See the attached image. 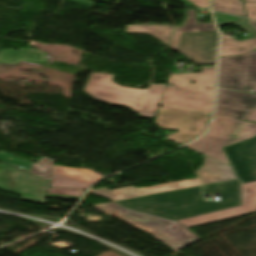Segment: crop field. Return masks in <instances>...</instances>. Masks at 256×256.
I'll return each mask as SVG.
<instances>
[{
    "mask_svg": "<svg viewBox=\"0 0 256 256\" xmlns=\"http://www.w3.org/2000/svg\"><path fill=\"white\" fill-rule=\"evenodd\" d=\"M220 191V202H203L200 186L116 201V203L164 218L177 220L239 205L238 181L231 180L203 186V193Z\"/></svg>",
    "mask_w": 256,
    "mask_h": 256,
    "instance_id": "8a807250",
    "label": "crop field"
},
{
    "mask_svg": "<svg viewBox=\"0 0 256 256\" xmlns=\"http://www.w3.org/2000/svg\"><path fill=\"white\" fill-rule=\"evenodd\" d=\"M114 76L91 73L83 91L96 100L127 106L142 117L154 118L165 85L151 84L144 90L134 89L114 83L112 81Z\"/></svg>",
    "mask_w": 256,
    "mask_h": 256,
    "instance_id": "ac0d7876",
    "label": "crop field"
},
{
    "mask_svg": "<svg viewBox=\"0 0 256 256\" xmlns=\"http://www.w3.org/2000/svg\"><path fill=\"white\" fill-rule=\"evenodd\" d=\"M202 73L172 74L162 96V106L210 115L213 105L215 66L201 67ZM189 81L195 82L194 84Z\"/></svg>",
    "mask_w": 256,
    "mask_h": 256,
    "instance_id": "34b2d1b8",
    "label": "crop field"
},
{
    "mask_svg": "<svg viewBox=\"0 0 256 256\" xmlns=\"http://www.w3.org/2000/svg\"><path fill=\"white\" fill-rule=\"evenodd\" d=\"M93 207L153 235L175 251L200 240L177 222L123 209L113 202Z\"/></svg>",
    "mask_w": 256,
    "mask_h": 256,
    "instance_id": "412701ff",
    "label": "crop field"
},
{
    "mask_svg": "<svg viewBox=\"0 0 256 256\" xmlns=\"http://www.w3.org/2000/svg\"><path fill=\"white\" fill-rule=\"evenodd\" d=\"M241 123L214 117L208 132L200 140L185 147L230 165L222 147L256 135V124L245 122L239 138H236Z\"/></svg>",
    "mask_w": 256,
    "mask_h": 256,
    "instance_id": "f4fd0767",
    "label": "crop field"
},
{
    "mask_svg": "<svg viewBox=\"0 0 256 256\" xmlns=\"http://www.w3.org/2000/svg\"><path fill=\"white\" fill-rule=\"evenodd\" d=\"M209 118L210 116L200 113L160 106L154 123L162 129L178 130L175 134L162 132L171 142L182 145L201 135Z\"/></svg>",
    "mask_w": 256,
    "mask_h": 256,
    "instance_id": "dd49c442",
    "label": "crop field"
},
{
    "mask_svg": "<svg viewBox=\"0 0 256 256\" xmlns=\"http://www.w3.org/2000/svg\"><path fill=\"white\" fill-rule=\"evenodd\" d=\"M218 86L256 93V51L243 56L221 57Z\"/></svg>",
    "mask_w": 256,
    "mask_h": 256,
    "instance_id": "e52e79f7",
    "label": "crop field"
},
{
    "mask_svg": "<svg viewBox=\"0 0 256 256\" xmlns=\"http://www.w3.org/2000/svg\"><path fill=\"white\" fill-rule=\"evenodd\" d=\"M49 181L0 162V190L21 195V200L45 203Z\"/></svg>",
    "mask_w": 256,
    "mask_h": 256,
    "instance_id": "d8731c3e",
    "label": "crop field"
},
{
    "mask_svg": "<svg viewBox=\"0 0 256 256\" xmlns=\"http://www.w3.org/2000/svg\"><path fill=\"white\" fill-rule=\"evenodd\" d=\"M223 149L241 184L256 180V136Z\"/></svg>",
    "mask_w": 256,
    "mask_h": 256,
    "instance_id": "5a996713",
    "label": "crop field"
},
{
    "mask_svg": "<svg viewBox=\"0 0 256 256\" xmlns=\"http://www.w3.org/2000/svg\"><path fill=\"white\" fill-rule=\"evenodd\" d=\"M217 32L184 34L178 52L197 65L215 64Z\"/></svg>",
    "mask_w": 256,
    "mask_h": 256,
    "instance_id": "3316defc",
    "label": "crop field"
},
{
    "mask_svg": "<svg viewBox=\"0 0 256 256\" xmlns=\"http://www.w3.org/2000/svg\"><path fill=\"white\" fill-rule=\"evenodd\" d=\"M241 200L242 206L206 214L202 216L192 217L179 220L187 228L219 221L256 211V181L241 185Z\"/></svg>",
    "mask_w": 256,
    "mask_h": 256,
    "instance_id": "28ad6ade",
    "label": "crop field"
},
{
    "mask_svg": "<svg viewBox=\"0 0 256 256\" xmlns=\"http://www.w3.org/2000/svg\"><path fill=\"white\" fill-rule=\"evenodd\" d=\"M255 107V94L218 88L215 116L242 121L245 114Z\"/></svg>",
    "mask_w": 256,
    "mask_h": 256,
    "instance_id": "d1516ede",
    "label": "crop field"
},
{
    "mask_svg": "<svg viewBox=\"0 0 256 256\" xmlns=\"http://www.w3.org/2000/svg\"><path fill=\"white\" fill-rule=\"evenodd\" d=\"M214 13L218 26L233 23L249 33L248 40L243 42H239L222 33L220 56L247 54L256 48V31L248 26L245 19L216 12Z\"/></svg>",
    "mask_w": 256,
    "mask_h": 256,
    "instance_id": "22f410ed",
    "label": "crop field"
},
{
    "mask_svg": "<svg viewBox=\"0 0 256 256\" xmlns=\"http://www.w3.org/2000/svg\"><path fill=\"white\" fill-rule=\"evenodd\" d=\"M198 185H199V182L197 178H194V179H188L183 181H177V182H171V183H165V184L140 188V189H137L133 186H129V187H123V188H117V189H111V190H107L105 188L94 189V190H90V192L104 195L112 199L113 201H116V200L151 195L156 193L168 192V191H173V190H178V189H183V188H188V187H193Z\"/></svg>",
    "mask_w": 256,
    "mask_h": 256,
    "instance_id": "cbeb9de0",
    "label": "crop field"
},
{
    "mask_svg": "<svg viewBox=\"0 0 256 256\" xmlns=\"http://www.w3.org/2000/svg\"><path fill=\"white\" fill-rule=\"evenodd\" d=\"M100 178L102 177L87 169L56 165L54 167L52 183L50 186L85 190Z\"/></svg>",
    "mask_w": 256,
    "mask_h": 256,
    "instance_id": "5142ce71",
    "label": "crop field"
},
{
    "mask_svg": "<svg viewBox=\"0 0 256 256\" xmlns=\"http://www.w3.org/2000/svg\"><path fill=\"white\" fill-rule=\"evenodd\" d=\"M203 185L236 179L232 168L221 162L205 157L204 165L198 169Z\"/></svg>",
    "mask_w": 256,
    "mask_h": 256,
    "instance_id": "d9b57169",
    "label": "crop field"
},
{
    "mask_svg": "<svg viewBox=\"0 0 256 256\" xmlns=\"http://www.w3.org/2000/svg\"><path fill=\"white\" fill-rule=\"evenodd\" d=\"M0 160L48 180L54 164V161L45 158H41L38 163L32 164L3 151H0ZM29 168L31 169L30 171L28 170Z\"/></svg>",
    "mask_w": 256,
    "mask_h": 256,
    "instance_id": "733c2abd",
    "label": "crop field"
},
{
    "mask_svg": "<svg viewBox=\"0 0 256 256\" xmlns=\"http://www.w3.org/2000/svg\"><path fill=\"white\" fill-rule=\"evenodd\" d=\"M0 61L16 64L21 61L36 62L46 64V53L38 49L19 48L18 51L2 50L0 51Z\"/></svg>",
    "mask_w": 256,
    "mask_h": 256,
    "instance_id": "4a817a6b",
    "label": "crop field"
},
{
    "mask_svg": "<svg viewBox=\"0 0 256 256\" xmlns=\"http://www.w3.org/2000/svg\"><path fill=\"white\" fill-rule=\"evenodd\" d=\"M216 31L212 24H197L194 10H187V18L182 27H176L172 35L170 47L177 50L183 33Z\"/></svg>",
    "mask_w": 256,
    "mask_h": 256,
    "instance_id": "bc2a9ffb",
    "label": "crop field"
},
{
    "mask_svg": "<svg viewBox=\"0 0 256 256\" xmlns=\"http://www.w3.org/2000/svg\"><path fill=\"white\" fill-rule=\"evenodd\" d=\"M172 28L160 25H126V32L149 34L168 45Z\"/></svg>",
    "mask_w": 256,
    "mask_h": 256,
    "instance_id": "214f88e0",
    "label": "crop field"
},
{
    "mask_svg": "<svg viewBox=\"0 0 256 256\" xmlns=\"http://www.w3.org/2000/svg\"><path fill=\"white\" fill-rule=\"evenodd\" d=\"M213 8L216 11L225 12L241 17L245 16V11L242 2L227 1V0H213Z\"/></svg>",
    "mask_w": 256,
    "mask_h": 256,
    "instance_id": "92a150f3",
    "label": "crop field"
},
{
    "mask_svg": "<svg viewBox=\"0 0 256 256\" xmlns=\"http://www.w3.org/2000/svg\"><path fill=\"white\" fill-rule=\"evenodd\" d=\"M84 192L85 191L50 187L47 197L78 200Z\"/></svg>",
    "mask_w": 256,
    "mask_h": 256,
    "instance_id": "dafd665d",
    "label": "crop field"
},
{
    "mask_svg": "<svg viewBox=\"0 0 256 256\" xmlns=\"http://www.w3.org/2000/svg\"><path fill=\"white\" fill-rule=\"evenodd\" d=\"M244 3H245L248 18L256 19V3H248V2H244Z\"/></svg>",
    "mask_w": 256,
    "mask_h": 256,
    "instance_id": "00972430",
    "label": "crop field"
},
{
    "mask_svg": "<svg viewBox=\"0 0 256 256\" xmlns=\"http://www.w3.org/2000/svg\"><path fill=\"white\" fill-rule=\"evenodd\" d=\"M191 3H193L195 6L202 7L208 9V0H187Z\"/></svg>",
    "mask_w": 256,
    "mask_h": 256,
    "instance_id": "a9b5d70f",
    "label": "crop field"
},
{
    "mask_svg": "<svg viewBox=\"0 0 256 256\" xmlns=\"http://www.w3.org/2000/svg\"><path fill=\"white\" fill-rule=\"evenodd\" d=\"M73 4L92 8L93 2L86 0H70Z\"/></svg>",
    "mask_w": 256,
    "mask_h": 256,
    "instance_id": "4177f3b9",
    "label": "crop field"
},
{
    "mask_svg": "<svg viewBox=\"0 0 256 256\" xmlns=\"http://www.w3.org/2000/svg\"><path fill=\"white\" fill-rule=\"evenodd\" d=\"M245 121L256 123V109L249 113Z\"/></svg>",
    "mask_w": 256,
    "mask_h": 256,
    "instance_id": "730fd06b",
    "label": "crop field"
},
{
    "mask_svg": "<svg viewBox=\"0 0 256 256\" xmlns=\"http://www.w3.org/2000/svg\"><path fill=\"white\" fill-rule=\"evenodd\" d=\"M249 24L256 29V22L249 20Z\"/></svg>",
    "mask_w": 256,
    "mask_h": 256,
    "instance_id": "eef30255",
    "label": "crop field"
},
{
    "mask_svg": "<svg viewBox=\"0 0 256 256\" xmlns=\"http://www.w3.org/2000/svg\"><path fill=\"white\" fill-rule=\"evenodd\" d=\"M181 2H183L184 4L188 5V6H192L193 4L187 2L186 0H180Z\"/></svg>",
    "mask_w": 256,
    "mask_h": 256,
    "instance_id": "ae1a2a85",
    "label": "crop field"
},
{
    "mask_svg": "<svg viewBox=\"0 0 256 256\" xmlns=\"http://www.w3.org/2000/svg\"><path fill=\"white\" fill-rule=\"evenodd\" d=\"M244 1H249V2H256V0H244Z\"/></svg>",
    "mask_w": 256,
    "mask_h": 256,
    "instance_id": "d3111659",
    "label": "crop field"
},
{
    "mask_svg": "<svg viewBox=\"0 0 256 256\" xmlns=\"http://www.w3.org/2000/svg\"><path fill=\"white\" fill-rule=\"evenodd\" d=\"M243 123H244V122H243ZM242 125H243V124H242ZM241 128H242V127H241ZM240 131H241V129H240ZM239 133H240V132H239ZM238 136H239V134H238ZM238 136H237V137H238Z\"/></svg>",
    "mask_w": 256,
    "mask_h": 256,
    "instance_id": "750c4746",
    "label": "crop field"
},
{
    "mask_svg": "<svg viewBox=\"0 0 256 256\" xmlns=\"http://www.w3.org/2000/svg\"><path fill=\"white\" fill-rule=\"evenodd\" d=\"M238 1H241V0H238Z\"/></svg>",
    "mask_w": 256,
    "mask_h": 256,
    "instance_id": "bd1437ed",
    "label": "crop field"
}]
</instances>
